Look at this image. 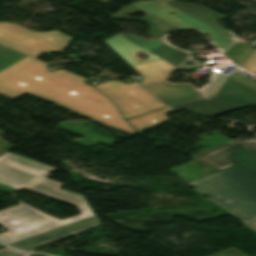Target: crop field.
<instances>
[{
  "label": "crop field",
  "instance_id": "obj_19",
  "mask_svg": "<svg viewBox=\"0 0 256 256\" xmlns=\"http://www.w3.org/2000/svg\"><path fill=\"white\" fill-rule=\"evenodd\" d=\"M0 256H30L28 254H22V253H18L16 251H13L9 248L0 251Z\"/></svg>",
  "mask_w": 256,
  "mask_h": 256
},
{
  "label": "crop field",
  "instance_id": "obj_3",
  "mask_svg": "<svg viewBox=\"0 0 256 256\" xmlns=\"http://www.w3.org/2000/svg\"><path fill=\"white\" fill-rule=\"evenodd\" d=\"M61 186L62 183L45 177L26 189L72 203L81 214L61 221L26 204L5 210L0 212V224L9 231L0 234V240L14 243L94 216L84 196L62 190Z\"/></svg>",
  "mask_w": 256,
  "mask_h": 256
},
{
  "label": "crop field",
  "instance_id": "obj_20",
  "mask_svg": "<svg viewBox=\"0 0 256 256\" xmlns=\"http://www.w3.org/2000/svg\"><path fill=\"white\" fill-rule=\"evenodd\" d=\"M248 226H250L252 229H254L256 231V222L248 224Z\"/></svg>",
  "mask_w": 256,
  "mask_h": 256
},
{
  "label": "crop field",
  "instance_id": "obj_21",
  "mask_svg": "<svg viewBox=\"0 0 256 256\" xmlns=\"http://www.w3.org/2000/svg\"><path fill=\"white\" fill-rule=\"evenodd\" d=\"M2 247H4V245H2V244L0 243V248H2Z\"/></svg>",
  "mask_w": 256,
  "mask_h": 256
},
{
  "label": "crop field",
  "instance_id": "obj_7",
  "mask_svg": "<svg viewBox=\"0 0 256 256\" xmlns=\"http://www.w3.org/2000/svg\"><path fill=\"white\" fill-rule=\"evenodd\" d=\"M244 106H256V91L229 80L215 97L171 108L173 110L188 109L194 114L214 116Z\"/></svg>",
  "mask_w": 256,
  "mask_h": 256
},
{
  "label": "crop field",
  "instance_id": "obj_10",
  "mask_svg": "<svg viewBox=\"0 0 256 256\" xmlns=\"http://www.w3.org/2000/svg\"><path fill=\"white\" fill-rule=\"evenodd\" d=\"M168 5L186 13L191 16H194L198 19H201L208 23V25L213 28L215 31H217L219 34H221L223 37H225L230 42L234 43L240 39L235 37L233 34H231L228 30H226L223 26H221L219 23H217L215 20L221 19L223 17L197 5V4H182L175 1L170 0L168 2Z\"/></svg>",
  "mask_w": 256,
  "mask_h": 256
},
{
  "label": "crop field",
  "instance_id": "obj_12",
  "mask_svg": "<svg viewBox=\"0 0 256 256\" xmlns=\"http://www.w3.org/2000/svg\"><path fill=\"white\" fill-rule=\"evenodd\" d=\"M169 111L172 110L163 108L156 112L133 118L128 120V122L140 133L155 127L162 126L163 122L168 120L164 114Z\"/></svg>",
  "mask_w": 256,
  "mask_h": 256
},
{
  "label": "crop field",
  "instance_id": "obj_15",
  "mask_svg": "<svg viewBox=\"0 0 256 256\" xmlns=\"http://www.w3.org/2000/svg\"><path fill=\"white\" fill-rule=\"evenodd\" d=\"M57 238H59V237L49 233V234L40 235V236L31 238V239H28V240H24V241H21V242L12 244V245L16 246V247H19V248H22L24 250H27V249L39 246L41 244L53 241Z\"/></svg>",
  "mask_w": 256,
  "mask_h": 256
},
{
  "label": "crop field",
  "instance_id": "obj_18",
  "mask_svg": "<svg viewBox=\"0 0 256 256\" xmlns=\"http://www.w3.org/2000/svg\"><path fill=\"white\" fill-rule=\"evenodd\" d=\"M213 256H245L244 254L238 252L237 250L231 248L229 250H226L224 252L218 253Z\"/></svg>",
  "mask_w": 256,
  "mask_h": 256
},
{
  "label": "crop field",
  "instance_id": "obj_17",
  "mask_svg": "<svg viewBox=\"0 0 256 256\" xmlns=\"http://www.w3.org/2000/svg\"><path fill=\"white\" fill-rule=\"evenodd\" d=\"M4 133L0 132V137L3 135ZM15 146H12L11 144L3 141L0 139V155L8 152L9 150H11L12 148H14Z\"/></svg>",
  "mask_w": 256,
  "mask_h": 256
},
{
  "label": "crop field",
  "instance_id": "obj_11",
  "mask_svg": "<svg viewBox=\"0 0 256 256\" xmlns=\"http://www.w3.org/2000/svg\"><path fill=\"white\" fill-rule=\"evenodd\" d=\"M226 55L243 68L256 72V50L250 45L238 42Z\"/></svg>",
  "mask_w": 256,
  "mask_h": 256
},
{
  "label": "crop field",
  "instance_id": "obj_8",
  "mask_svg": "<svg viewBox=\"0 0 256 256\" xmlns=\"http://www.w3.org/2000/svg\"><path fill=\"white\" fill-rule=\"evenodd\" d=\"M95 88L115 102L126 119L164 107L134 83L126 85L113 80L97 85Z\"/></svg>",
  "mask_w": 256,
  "mask_h": 256
},
{
  "label": "crop field",
  "instance_id": "obj_5",
  "mask_svg": "<svg viewBox=\"0 0 256 256\" xmlns=\"http://www.w3.org/2000/svg\"><path fill=\"white\" fill-rule=\"evenodd\" d=\"M71 39L58 31L32 32L13 23H0V44L35 58L43 52L64 50Z\"/></svg>",
  "mask_w": 256,
  "mask_h": 256
},
{
  "label": "crop field",
  "instance_id": "obj_13",
  "mask_svg": "<svg viewBox=\"0 0 256 256\" xmlns=\"http://www.w3.org/2000/svg\"><path fill=\"white\" fill-rule=\"evenodd\" d=\"M29 56L0 45V72Z\"/></svg>",
  "mask_w": 256,
  "mask_h": 256
},
{
  "label": "crop field",
  "instance_id": "obj_1",
  "mask_svg": "<svg viewBox=\"0 0 256 256\" xmlns=\"http://www.w3.org/2000/svg\"><path fill=\"white\" fill-rule=\"evenodd\" d=\"M166 1L138 2L111 16L115 19H136L149 23L151 25L149 35L153 36L152 41H146L133 34H118L106 40V43L144 77V80L138 84L168 106L215 95L227 79L213 72L211 83L201 89L200 92L190 84H167L164 82L175 69L184 68L189 70L202 66L201 63L189 58L192 53L178 49L167 42L166 36L170 31L196 29L210 33L215 46L222 53L230 45L209 29L205 23L165 5ZM156 6H162V8L158 9ZM140 10L147 12V17H126ZM173 12L178 14L170 16L169 14ZM155 20L159 22L156 23ZM139 51H145L149 58L139 62L135 55ZM148 61L152 63H148ZM186 61L194 64L185 66L184 62Z\"/></svg>",
  "mask_w": 256,
  "mask_h": 256
},
{
  "label": "crop field",
  "instance_id": "obj_4",
  "mask_svg": "<svg viewBox=\"0 0 256 256\" xmlns=\"http://www.w3.org/2000/svg\"><path fill=\"white\" fill-rule=\"evenodd\" d=\"M243 224L256 221V181L235 167L187 183Z\"/></svg>",
  "mask_w": 256,
  "mask_h": 256
},
{
  "label": "crop field",
  "instance_id": "obj_14",
  "mask_svg": "<svg viewBox=\"0 0 256 256\" xmlns=\"http://www.w3.org/2000/svg\"><path fill=\"white\" fill-rule=\"evenodd\" d=\"M96 226H100V223L98 222L96 217H93L89 220L78 222L76 224H73L71 226H68L66 228H63L61 230H58V231H55V232H52V233L62 237V236H66V235H69V234H72V233H76V232H79V231L90 229V228H93V227H96Z\"/></svg>",
  "mask_w": 256,
  "mask_h": 256
},
{
  "label": "crop field",
  "instance_id": "obj_2",
  "mask_svg": "<svg viewBox=\"0 0 256 256\" xmlns=\"http://www.w3.org/2000/svg\"><path fill=\"white\" fill-rule=\"evenodd\" d=\"M83 80L61 69L53 73L46 69L45 62L30 57L0 73V94L15 100L29 93L131 135L136 134L114 104Z\"/></svg>",
  "mask_w": 256,
  "mask_h": 256
},
{
  "label": "crop field",
  "instance_id": "obj_6",
  "mask_svg": "<svg viewBox=\"0 0 256 256\" xmlns=\"http://www.w3.org/2000/svg\"><path fill=\"white\" fill-rule=\"evenodd\" d=\"M192 158L217 171L235 165L256 179V137L233 140Z\"/></svg>",
  "mask_w": 256,
  "mask_h": 256
},
{
  "label": "crop field",
  "instance_id": "obj_16",
  "mask_svg": "<svg viewBox=\"0 0 256 256\" xmlns=\"http://www.w3.org/2000/svg\"><path fill=\"white\" fill-rule=\"evenodd\" d=\"M231 79H233V80H235L237 82H240V83H242V84H244V85H246V86L256 90V83H254V82H252V81H250L248 79H245V78H243V77H241V76H239L237 74L233 75V77Z\"/></svg>",
  "mask_w": 256,
  "mask_h": 256
},
{
  "label": "crop field",
  "instance_id": "obj_9",
  "mask_svg": "<svg viewBox=\"0 0 256 256\" xmlns=\"http://www.w3.org/2000/svg\"><path fill=\"white\" fill-rule=\"evenodd\" d=\"M56 169L8 152L0 157V183L20 190Z\"/></svg>",
  "mask_w": 256,
  "mask_h": 256
}]
</instances>
